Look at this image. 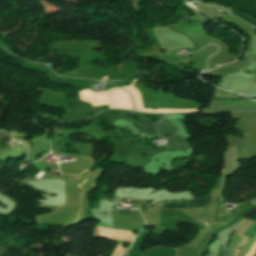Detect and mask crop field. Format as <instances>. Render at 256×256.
<instances>
[{"label": "crop field", "mask_w": 256, "mask_h": 256, "mask_svg": "<svg viewBox=\"0 0 256 256\" xmlns=\"http://www.w3.org/2000/svg\"><path fill=\"white\" fill-rule=\"evenodd\" d=\"M81 100L90 102L93 106L109 104V108H122L133 110L130 95L123 89L115 88L110 91L94 93L92 91H79Z\"/></svg>", "instance_id": "8a807250"}, {"label": "crop field", "mask_w": 256, "mask_h": 256, "mask_svg": "<svg viewBox=\"0 0 256 256\" xmlns=\"http://www.w3.org/2000/svg\"><path fill=\"white\" fill-rule=\"evenodd\" d=\"M178 130L180 129H178L176 126H174L166 119L160 122L159 125L157 126V131L159 135H163L165 137L166 134L173 133V135L165 137L169 139L167 143L169 152L189 150V146L186 143V140L175 133Z\"/></svg>", "instance_id": "ac0d7876"}, {"label": "crop field", "mask_w": 256, "mask_h": 256, "mask_svg": "<svg viewBox=\"0 0 256 256\" xmlns=\"http://www.w3.org/2000/svg\"><path fill=\"white\" fill-rule=\"evenodd\" d=\"M206 201H210V196L207 195V196L203 197L202 199L187 201L186 204L206 202ZM185 202L186 201H174V202L165 203L162 208L179 209L183 212ZM184 213L190 215L191 217H199V216L210 214V208L184 210Z\"/></svg>", "instance_id": "34b2d1b8"}, {"label": "crop field", "mask_w": 256, "mask_h": 256, "mask_svg": "<svg viewBox=\"0 0 256 256\" xmlns=\"http://www.w3.org/2000/svg\"><path fill=\"white\" fill-rule=\"evenodd\" d=\"M126 90H128L132 98L134 100L136 109L142 110V111H148V112H162V113H179V112H193L198 111L197 109H176V110H149V109H143L141 95L138 92L137 89H135L132 85L124 87Z\"/></svg>", "instance_id": "412701ff"}, {"label": "crop field", "mask_w": 256, "mask_h": 256, "mask_svg": "<svg viewBox=\"0 0 256 256\" xmlns=\"http://www.w3.org/2000/svg\"><path fill=\"white\" fill-rule=\"evenodd\" d=\"M125 120H128V121H131V122H134V123H137V124H140V125H144L142 127H139V128H135L149 136L155 134L154 133V127L156 126L157 122H149V121H141V120H136V119H133L131 117H128V118H123Z\"/></svg>", "instance_id": "f4fd0767"}, {"label": "crop field", "mask_w": 256, "mask_h": 256, "mask_svg": "<svg viewBox=\"0 0 256 256\" xmlns=\"http://www.w3.org/2000/svg\"><path fill=\"white\" fill-rule=\"evenodd\" d=\"M222 250H223V247H222V245H220L217 256H222Z\"/></svg>", "instance_id": "dd49c442"}, {"label": "crop field", "mask_w": 256, "mask_h": 256, "mask_svg": "<svg viewBox=\"0 0 256 256\" xmlns=\"http://www.w3.org/2000/svg\"><path fill=\"white\" fill-rule=\"evenodd\" d=\"M253 59L256 61V55H251ZM256 69V68H255Z\"/></svg>", "instance_id": "e52e79f7"}, {"label": "crop field", "mask_w": 256, "mask_h": 256, "mask_svg": "<svg viewBox=\"0 0 256 256\" xmlns=\"http://www.w3.org/2000/svg\"><path fill=\"white\" fill-rule=\"evenodd\" d=\"M224 213H226V211L224 210Z\"/></svg>", "instance_id": "d8731c3e"}]
</instances>
